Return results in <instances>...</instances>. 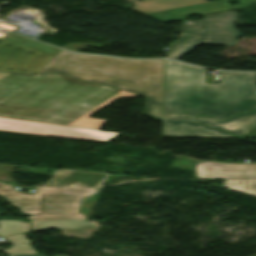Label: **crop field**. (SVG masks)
Listing matches in <instances>:
<instances>
[{
    "instance_id": "crop-field-1",
    "label": "crop field",
    "mask_w": 256,
    "mask_h": 256,
    "mask_svg": "<svg viewBox=\"0 0 256 256\" xmlns=\"http://www.w3.org/2000/svg\"><path fill=\"white\" fill-rule=\"evenodd\" d=\"M136 96L62 74L11 73L0 81V116L99 129L89 116L117 98Z\"/></svg>"
},
{
    "instance_id": "crop-field-2",
    "label": "crop field",
    "mask_w": 256,
    "mask_h": 256,
    "mask_svg": "<svg viewBox=\"0 0 256 256\" xmlns=\"http://www.w3.org/2000/svg\"><path fill=\"white\" fill-rule=\"evenodd\" d=\"M256 110V73L221 72L206 84V69L167 60L165 118L211 123Z\"/></svg>"
},
{
    "instance_id": "crop-field-3",
    "label": "crop field",
    "mask_w": 256,
    "mask_h": 256,
    "mask_svg": "<svg viewBox=\"0 0 256 256\" xmlns=\"http://www.w3.org/2000/svg\"><path fill=\"white\" fill-rule=\"evenodd\" d=\"M163 59L130 60L63 51L40 73L62 72L147 96L146 114L161 118Z\"/></svg>"
},
{
    "instance_id": "crop-field-4",
    "label": "crop field",
    "mask_w": 256,
    "mask_h": 256,
    "mask_svg": "<svg viewBox=\"0 0 256 256\" xmlns=\"http://www.w3.org/2000/svg\"><path fill=\"white\" fill-rule=\"evenodd\" d=\"M97 188H38L34 196L0 189V196L25 214H36L27 219L86 220L77 212L78 200Z\"/></svg>"
},
{
    "instance_id": "crop-field-5",
    "label": "crop field",
    "mask_w": 256,
    "mask_h": 256,
    "mask_svg": "<svg viewBox=\"0 0 256 256\" xmlns=\"http://www.w3.org/2000/svg\"><path fill=\"white\" fill-rule=\"evenodd\" d=\"M236 13H224L204 17V20H187L182 23V36L171 46L170 58L178 59L199 44L234 45L241 35L233 21Z\"/></svg>"
},
{
    "instance_id": "crop-field-6",
    "label": "crop field",
    "mask_w": 256,
    "mask_h": 256,
    "mask_svg": "<svg viewBox=\"0 0 256 256\" xmlns=\"http://www.w3.org/2000/svg\"><path fill=\"white\" fill-rule=\"evenodd\" d=\"M60 49L8 32L0 38V70L37 72Z\"/></svg>"
},
{
    "instance_id": "crop-field-7",
    "label": "crop field",
    "mask_w": 256,
    "mask_h": 256,
    "mask_svg": "<svg viewBox=\"0 0 256 256\" xmlns=\"http://www.w3.org/2000/svg\"><path fill=\"white\" fill-rule=\"evenodd\" d=\"M0 130L107 142L118 132L55 125L0 117Z\"/></svg>"
},
{
    "instance_id": "crop-field-8",
    "label": "crop field",
    "mask_w": 256,
    "mask_h": 256,
    "mask_svg": "<svg viewBox=\"0 0 256 256\" xmlns=\"http://www.w3.org/2000/svg\"><path fill=\"white\" fill-rule=\"evenodd\" d=\"M239 1L242 5L230 7L227 3ZM256 3V0H224L214 3H205L167 11L146 14L145 16L152 19L167 22L178 19L187 18L190 14H197L199 16L217 13L221 11L249 7L250 4Z\"/></svg>"
},
{
    "instance_id": "crop-field-9",
    "label": "crop field",
    "mask_w": 256,
    "mask_h": 256,
    "mask_svg": "<svg viewBox=\"0 0 256 256\" xmlns=\"http://www.w3.org/2000/svg\"><path fill=\"white\" fill-rule=\"evenodd\" d=\"M196 177L212 179H256V164H222L204 161L197 164Z\"/></svg>"
},
{
    "instance_id": "crop-field-10",
    "label": "crop field",
    "mask_w": 256,
    "mask_h": 256,
    "mask_svg": "<svg viewBox=\"0 0 256 256\" xmlns=\"http://www.w3.org/2000/svg\"><path fill=\"white\" fill-rule=\"evenodd\" d=\"M162 137L237 138L190 121L163 120Z\"/></svg>"
},
{
    "instance_id": "crop-field-11",
    "label": "crop field",
    "mask_w": 256,
    "mask_h": 256,
    "mask_svg": "<svg viewBox=\"0 0 256 256\" xmlns=\"http://www.w3.org/2000/svg\"><path fill=\"white\" fill-rule=\"evenodd\" d=\"M32 232L44 229H61L64 235L73 237H90L92 232L97 230V225L89 221L74 220H30ZM90 227H93L91 229Z\"/></svg>"
},
{
    "instance_id": "crop-field-12",
    "label": "crop field",
    "mask_w": 256,
    "mask_h": 256,
    "mask_svg": "<svg viewBox=\"0 0 256 256\" xmlns=\"http://www.w3.org/2000/svg\"><path fill=\"white\" fill-rule=\"evenodd\" d=\"M207 125L225 130L241 138H256V112L236 115L226 121Z\"/></svg>"
},
{
    "instance_id": "crop-field-13",
    "label": "crop field",
    "mask_w": 256,
    "mask_h": 256,
    "mask_svg": "<svg viewBox=\"0 0 256 256\" xmlns=\"http://www.w3.org/2000/svg\"><path fill=\"white\" fill-rule=\"evenodd\" d=\"M128 1L136 4L134 7L135 10L141 13H150L207 2L206 0H143L145 3L137 0Z\"/></svg>"
},
{
    "instance_id": "crop-field-14",
    "label": "crop field",
    "mask_w": 256,
    "mask_h": 256,
    "mask_svg": "<svg viewBox=\"0 0 256 256\" xmlns=\"http://www.w3.org/2000/svg\"><path fill=\"white\" fill-rule=\"evenodd\" d=\"M4 239L7 241L0 242V244L11 242L13 245L9 249L0 248V250H4L7 253L37 254L35 248L31 247L32 242L27 240L25 233L6 237Z\"/></svg>"
},
{
    "instance_id": "crop-field-15",
    "label": "crop field",
    "mask_w": 256,
    "mask_h": 256,
    "mask_svg": "<svg viewBox=\"0 0 256 256\" xmlns=\"http://www.w3.org/2000/svg\"><path fill=\"white\" fill-rule=\"evenodd\" d=\"M105 175H107V174L75 171L74 173H72L69 177H67L62 182H65V183H71V182L86 183V184H88L87 186L92 187L99 180H101Z\"/></svg>"
},
{
    "instance_id": "crop-field-16",
    "label": "crop field",
    "mask_w": 256,
    "mask_h": 256,
    "mask_svg": "<svg viewBox=\"0 0 256 256\" xmlns=\"http://www.w3.org/2000/svg\"><path fill=\"white\" fill-rule=\"evenodd\" d=\"M29 230V224L19 220H0V236Z\"/></svg>"
},
{
    "instance_id": "crop-field-17",
    "label": "crop field",
    "mask_w": 256,
    "mask_h": 256,
    "mask_svg": "<svg viewBox=\"0 0 256 256\" xmlns=\"http://www.w3.org/2000/svg\"><path fill=\"white\" fill-rule=\"evenodd\" d=\"M224 187L256 195V180H224Z\"/></svg>"
},
{
    "instance_id": "crop-field-18",
    "label": "crop field",
    "mask_w": 256,
    "mask_h": 256,
    "mask_svg": "<svg viewBox=\"0 0 256 256\" xmlns=\"http://www.w3.org/2000/svg\"><path fill=\"white\" fill-rule=\"evenodd\" d=\"M10 256H43V255H23V254H9Z\"/></svg>"
},
{
    "instance_id": "crop-field-19",
    "label": "crop field",
    "mask_w": 256,
    "mask_h": 256,
    "mask_svg": "<svg viewBox=\"0 0 256 256\" xmlns=\"http://www.w3.org/2000/svg\"><path fill=\"white\" fill-rule=\"evenodd\" d=\"M8 74L10 73H7V72H0V80L4 77H6Z\"/></svg>"
},
{
    "instance_id": "crop-field-20",
    "label": "crop field",
    "mask_w": 256,
    "mask_h": 256,
    "mask_svg": "<svg viewBox=\"0 0 256 256\" xmlns=\"http://www.w3.org/2000/svg\"><path fill=\"white\" fill-rule=\"evenodd\" d=\"M0 187H12L10 185H3L2 183H0Z\"/></svg>"
},
{
    "instance_id": "crop-field-21",
    "label": "crop field",
    "mask_w": 256,
    "mask_h": 256,
    "mask_svg": "<svg viewBox=\"0 0 256 256\" xmlns=\"http://www.w3.org/2000/svg\"><path fill=\"white\" fill-rule=\"evenodd\" d=\"M56 256H68V255H56Z\"/></svg>"
}]
</instances>
